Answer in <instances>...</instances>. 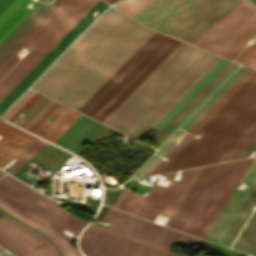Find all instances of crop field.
Here are the masks:
<instances>
[{"label":"crop field","instance_id":"crop-field-1","mask_svg":"<svg viewBox=\"0 0 256 256\" xmlns=\"http://www.w3.org/2000/svg\"><path fill=\"white\" fill-rule=\"evenodd\" d=\"M152 32L112 7L32 88L77 110Z\"/></svg>","mask_w":256,"mask_h":256},{"label":"crop field","instance_id":"crop-field-2","mask_svg":"<svg viewBox=\"0 0 256 256\" xmlns=\"http://www.w3.org/2000/svg\"><path fill=\"white\" fill-rule=\"evenodd\" d=\"M256 121V71L248 68L148 175L217 162Z\"/></svg>","mask_w":256,"mask_h":256},{"label":"crop field","instance_id":"crop-field-3","mask_svg":"<svg viewBox=\"0 0 256 256\" xmlns=\"http://www.w3.org/2000/svg\"><path fill=\"white\" fill-rule=\"evenodd\" d=\"M217 58L182 42L103 123L138 139Z\"/></svg>","mask_w":256,"mask_h":256},{"label":"crop field","instance_id":"crop-field-4","mask_svg":"<svg viewBox=\"0 0 256 256\" xmlns=\"http://www.w3.org/2000/svg\"><path fill=\"white\" fill-rule=\"evenodd\" d=\"M254 158L225 163L183 232L204 238Z\"/></svg>","mask_w":256,"mask_h":256},{"label":"crop field","instance_id":"crop-field-5","mask_svg":"<svg viewBox=\"0 0 256 256\" xmlns=\"http://www.w3.org/2000/svg\"><path fill=\"white\" fill-rule=\"evenodd\" d=\"M96 1L97 0H80L59 21V23L0 81V100Z\"/></svg>","mask_w":256,"mask_h":256},{"label":"crop field","instance_id":"crop-field-6","mask_svg":"<svg viewBox=\"0 0 256 256\" xmlns=\"http://www.w3.org/2000/svg\"><path fill=\"white\" fill-rule=\"evenodd\" d=\"M88 256H162L164 250L148 246L90 224L80 238Z\"/></svg>","mask_w":256,"mask_h":256},{"label":"crop field","instance_id":"crop-field-7","mask_svg":"<svg viewBox=\"0 0 256 256\" xmlns=\"http://www.w3.org/2000/svg\"><path fill=\"white\" fill-rule=\"evenodd\" d=\"M255 22L256 8L243 1L192 44L217 54Z\"/></svg>","mask_w":256,"mask_h":256},{"label":"crop field","instance_id":"crop-field-8","mask_svg":"<svg viewBox=\"0 0 256 256\" xmlns=\"http://www.w3.org/2000/svg\"><path fill=\"white\" fill-rule=\"evenodd\" d=\"M4 174L0 170V177ZM0 188L71 231L76 236L87 222L57 207L53 201L8 174L0 179Z\"/></svg>","mask_w":256,"mask_h":256},{"label":"crop field","instance_id":"crop-field-9","mask_svg":"<svg viewBox=\"0 0 256 256\" xmlns=\"http://www.w3.org/2000/svg\"><path fill=\"white\" fill-rule=\"evenodd\" d=\"M166 38L154 31L78 111L90 116Z\"/></svg>","mask_w":256,"mask_h":256},{"label":"crop field","instance_id":"crop-field-10","mask_svg":"<svg viewBox=\"0 0 256 256\" xmlns=\"http://www.w3.org/2000/svg\"><path fill=\"white\" fill-rule=\"evenodd\" d=\"M243 0H207L166 34L191 43Z\"/></svg>","mask_w":256,"mask_h":256},{"label":"crop field","instance_id":"crop-field-11","mask_svg":"<svg viewBox=\"0 0 256 256\" xmlns=\"http://www.w3.org/2000/svg\"><path fill=\"white\" fill-rule=\"evenodd\" d=\"M106 7V3L102 0H98L94 4V6L46 53V55L0 101V114L27 89L30 84L43 72V70L73 41V39L92 22V12L96 10L100 13Z\"/></svg>","mask_w":256,"mask_h":256},{"label":"crop field","instance_id":"crop-field-12","mask_svg":"<svg viewBox=\"0 0 256 256\" xmlns=\"http://www.w3.org/2000/svg\"><path fill=\"white\" fill-rule=\"evenodd\" d=\"M36 234L4 214L0 217V244L5 248L17 256H58L53 247Z\"/></svg>","mask_w":256,"mask_h":256},{"label":"crop field","instance_id":"crop-field-13","mask_svg":"<svg viewBox=\"0 0 256 256\" xmlns=\"http://www.w3.org/2000/svg\"><path fill=\"white\" fill-rule=\"evenodd\" d=\"M180 43L169 37L91 117L102 122Z\"/></svg>","mask_w":256,"mask_h":256},{"label":"crop field","instance_id":"crop-field-14","mask_svg":"<svg viewBox=\"0 0 256 256\" xmlns=\"http://www.w3.org/2000/svg\"><path fill=\"white\" fill-rule=\"evenodd\" d=\"M205 0H153L133 18L165 33Z\"/></svg>","mask_w":256,"mask_h":256},{"label":"crop field","instance_id":"crop-field-15","mask_svg":"<svg viewBox=\"0 0 256 256\" xmlns=\"http://www.w3.org/2000/svg\"><path fill=\"white\" fill-rule=\"evenodd\" d=\"M256 202V184L243 202L242 206L234 216L233 220L225 230L224 234L218 241V244L229 247L232 240L240 230L241 226L252 211V205ZM232 249L242 251L253 255L256 250V209L239 237L235 241Z\"/></svg>","mask_w":256,"mask_h":256},{"label":"crop field","instance_id":"crop-field-16","mask_svg":"<svg viewBox=\"0 0 256 256\" xmlns=\"http://www.w3.org/2000/svg\"><path fill=\"white\" fill-rule=\"evenodd\" d=\"M102 221L111 222L108 229L128 237L155 244L164 226L110 208Z\"/></svg>","mask_w":256,"mask_h":256},{"label":"crop field","instance_id":"crop-field-17","mask_svg":"<svg viewBox=\"0 0 256 256\" xmlns=\"http://www.w3.org/2000/svg\"><path fill=\"white\" fill-rule=\"evenodd\" d=\"M223 164L204 167L181 205L168 223V226L182 231L199 202L207 192Z\"/></svg>","mask_w":256,"mask_h":256},{"label":"crop field","instance_id":"crop-field-18","mask_svg":"<svg viewBox=\"0 0 256 256\" xmlns=\"http://www.w3.org/2000/svg\"><path fill=\"white\" fill-rule=\"evenodd\" d=\"M79 0H62L51 13L0 63V78L19 60L13 54L22 46L30 50Z\"/></svg>","mask_w":256,"mask_h":256},{"label":"crop field","instance_id":"crop-field-19","mask_svg":"<svg viewBox=\"0 0 256 256\" xmlns=\"http://www.w3.org/2000/svg\"><path fill=\"white\" fill-rule=\"evenodd\" d=\"M244 182L248 185L247 188L241 192L236 190L234 191L229 201L205 236V239L217 243L221 237L222 233L256 182V160L246 174Z\"/></svg>","mask_w":256,"mask_h":256},{"label":"crop field","instance_id":"crop-field-20","mask_svg":"<svg viewBox=\"0 0 256 256\" xmlns=\"http://www.w3.org/2000/svg\"><path fill=\"white\" fill-rule=\"evenodd\" d=\"M0 166L4 167L35 137L0 120Z\"/></svg>","mask_w":256,"mask_h":256},{"label":"crop field","instance_id":"crop-field-21","mask_svg":"<svg viewBox=\"0 0 256 256\" xmlns=\"http://www.w3.org/2000/svg\"><path fill=\"white\" fill-rule=\"evenodd\" d=\"M80 115L60 104L33 132L54 142Z\"/></svg>","mask_w":256,"mask_h":256},{"label":"crop field","instance_id":"crop-field-22","mask_svg":"<svg viewBox=\"0 0 256 256\" xmlns=\"http://www.w3.org/2000/svg\"><path fill=\"white\" fill-rule=\"evenodd\" d=\"M102 126L103 124L84 116L57 144L76 153Z\"/></svg>","mask_w":256,"mask_h":256},{"label":"crop field","instance_id":"crop-field-23","mask_svg":"<svg viewBox=\"0 0 256 256\" xmlns=\"http://www.w3.org/2000/svg\"><path fill=\"white\" fill-rule=\"evenodd\" d=\"M187 171L188 170H184L181 172L182 176L179 181L172 180L175 173L171 172L165 174L166 179L171 180L170 183L167 187L158 185L149 202L141 212L140 217L154 221L157 214H161L163 211Z\"/></svg>","mask_w":256,"mask_h":256},{"label":"crop field","instance_id":"crop-field-24","mask_svg":"<svg viewBox=\"0 0 256 256\" xmlns=\"http://www.w3.org/2000/svg\"><path fill=\"white\" fill-rule=\"evenodd\" d=\"M252 37L256 38V23L218 53V55L233 60L238 52L245 46L246 42ZM254 58H256V41L250 46H247L235 61L247 65Z\"/></svg>","mask_w":256,"mask_h":256},{"label":"crop field","instance_id":"crop-field-25","mask_svg":"<svg viewBox=\"0 0 256 256\" xmlns=\"http://www.w3.org/2000/svg\"><path fill=\"white\" fill-rule=\"evenodd\" d=\"M40 3L20 25L0 44V59L36 24V22L57 2Z\"/></svg>","mask_w":256,"mask_h":256},{"label":"crop field","instance_id":"crop-field-26","mask_svg":"<svg viewBox=\"0 0 256 256\" xmlns=\"http://www.w3.org/2000/svg\"><path fill=\"white\" fill-rule=\"evenodd\" d=\"M21 0H14L0 15V21L20 2ZM30 0H22L1 22L0 31L8 24V22L29 2ZM31 2V1H30ZM29 2V3H30ZM40 2L35 1L36 7ZM34 7V8H35ZM33 8V9H34ZM32 9V10H33ZM24 7L15 18L0 32V43L19 25V23L32 11Z\"/></svg>","mask_w":256,"mask_h":256},{"label":"crop field","instance_id":"crop-field-27","mask_svg":"<svg viewBox=\"0 0 256 256\" xmlns=\"http://www.w3.org/2000/svg\"><path fill=\"white\" fill-rule=\"evenodd\" d=\"M0 199L5 201L6 203L10 204L14 208L18 209L22 213L26 214L30 218L34 219L38 223L42 224L46 228L50 229L54 233L58 234L62 238L66 239L67 241L71 242L75 238L74 236H72L71 238L68 237L66 234H64L62 232L65 229H63L59 225L55 224L54 222H52L45 216L41 215L37 211L33 210L29 206L25 205L24 203L17 200L16 198H14L13 196L9 195L8 193H6L5 191H3L1 189H0Z\"/></svg>","mask_w":256,"mask_h":256},{"label":"crop field","instance_id":"crop-field-28","mask_svg":"<svg viewBox=\"0 0 256 256\" xmlns=\"http://www.w3.org/2000/svg\"><path fill=\"white\" fill-rule=\"evenodd\" d=\"M247 67L240 66L236 72L225 81L183 124L181 127L189 131L195 123L210 109V107L225 93V91L240 77Z\"/></svg>","mask_w":256,"mask_h":256},{"label":"crop field","instance_id":"crop-field-29","mask_svg":"<svg viewBox=\"0 0 256 256\" xmlns=\"http://www.w3.org/2000/svg\"><path fill=\"white\" fill-rule=\"evenodd\" d=\"M0 207L3 208L4 210L8 211L9 213L13 214L17 218L21 219L25 223L29 224L33 228L37 229L38 231L42 232L47 237H49L53 241V243L58 247L62 256H80V253L78 251H76L67 241H65L64 239L55 235L54 233L47 230L46 228L42 227L38 223L34 222L30 218L26 217L25 215H23L22 213L15 210L14 208L7 205L6 203H4L1 200H0Z\"/></svg>","mask_w":256,"mask_h":256},{"label":"crop field","instance_id":"crop-field-30","mask_svg":"<svg viewBox=\"0 0 256 256\" xmlns=\"http://www.w3.org/2000/svg\"><path fill=\"white\" fill-rule=\"evenodd\" d=\"M156 187L157 185L153 184L145 198L123 189L113 207L139 216Z\"/></svg>","mask_w":256,"mask_h":256},{"label":"crop field","instance_id":"crop-field-31","mask_svg":"<svg viewBox=\"0 0 256 256\" xmlns=\"http://www.w3.org/2000/svg\"><path fill=\"white\" fill-rule=\"evenodd\" d=\"M202 169L203 167L189 169L181 184L177 188L176 192L174 193L169 203L165 207L164 211L162 212V215L170 217L169 220L171 219L172 215L180 205L181 201L189 191L190 187L192 186Z\"/></svg>","mask_w":256,"mask_h":256},{"label":"crop field","instance_id":"crop-field-32","mask_svg":"<svg viewBox=\"0 0 256 256\" xmlns=\"http://www.w3.org/2000/svg\"><path fill=\"white\" fill-rule=\"evenodd\" d=\"M227 61L222 58L190 91L189 93L155 126L161 129L176 112L211 78V76Z\"/></svg>","mask_w":256,"mask_h":256},{"label":"crop field","instance_id":"crop-field-33","mask_svg":"<svg viewBox=\"0 0 256 256\" xmlns=\"http://www.w3.org/2000/svg\"><path fill=\"white\" fill-rule=\"evenodd\" d=\"M256 138V122L245 132V134L226 152L218 161L236 159L243 150Z\"/></svg>","mask_w":256,"mask_h":256},{"label":"crop field","instance_id":"crop-field-34","mask_svg":"<svg viewBox=\"0 0 256 256\" xmlns=\"http://www.w3.org/2000/svg\"><path fill=\"white\" fill-rule=\"evenodd\" d=\"M234 64L230 61L212 81L175 117V119L156 137L157 141L196 103V101Z\"/></svg>","mask_w":256,"mask_h":256},{"label":"crop field","instance_id":"crop-field-35","mask_svg":"<svg viewBox=\"0 0 256 256\" xmlns=\"http://www.w3.org/2000/svg\"><path fill=\"white\" fill-rule=\"evenodd\" d=\"M47 142L36 138L31 144H29L21 153H19L15 158L18 160L8 169L12 174L22 166L32 155H34L38 150H40ZM33 157V156H32Z\"/></svg>","mask_w":256,"mask_h":256},{"label":"crop field","instance_id":"crop-field-36","mask_svg":"<svg viewBox=\"0 0 256 256\" xmlns=\"http://www.w3.org/2000/svg\"><path fill=\"white\" fill-rule=\"evenodd\" d=\"M238 66L234 64L218 81L217 83L178 121V123L158 142L160 146L173 132L174 130L207 98V96Z\"/></svg>","mask_w":256,"mask_h":256},{"label":"crop field","instance_id":"crop-field-37","mask_svg":"<svg viewBox=\"0 0 256 256\" xmlns=\"http://www.w3.org/2000/svg\"><path fill=\"white\" fill-rule=\"evenodd\" d=\"M151 1L152 0H124L115 6L124 13L133 16Z\"/></svg>","mask_w":256,"mask_h":256},{"label":"crop field","instance_id":"crop-field-38","mask_svg":"<svg viewBox=\"0 0 256 256\" xmlns=\"http://www.w3.org/2000/svg\"><path fill=\"white\" fill-rule=\"evenodd\" d=\"M179 234L180 232L165 227L163 233L161 234L160 238L156 243V246L169 249L175 242Z\"/></svg>","mask_w":256,"mask_h":256},{"label":"crop field","instance_id":"crop-field-39","mask_svg":"<svg viewBox=\"0 0 256 256\" xmlns=\"http://www.w3.org/2000/svg\"><path fill=\"white\" fill-rule=\"evenodd\" d=\"M36 92L29 90L22 98H20L3 116V118L10 119Z\"/></svg>","mask_w":256,"mask_h":256},{"label":"crop field","instance_id":"crop-field-40","mask_svg":"<svg viewBox=\"0 0 256 256\" xmlns=\"http://www.w3.org/2000/svg\"><path fill=\"white\" fill-rule=\"evenodd\" d=\"M181 130H177L155 153H159L164 157L174 147L172 144L183 134Z\"/></svg>","mask_w":256,"mask_h":256},{"label":"crop field","instance_id":"crop-field-41","mask_svg":"<svg viewBox=\"0 0 256 256\" xmlns=\"http://www.w3.org/2000/svg\"><path fill=\"white\" fill-rule=\"evenodd\" d=\"M219 57L153 124L154 127L186 94L187 92L220 60Z\"/></svg>","mask_w":256,"mask_h":256},{"label":"crop field","instance_id":"crop-field-42","mask_svg":"<svg viewBox=\"0 0 256 256\" xmlns=\"http://www.w3.org/2000/svg\"><path fill=\"white\" fill-rule=\"evenodd\" d=\"M160 161L159 157L153 155L134 176L141 177L147 175Z\"/></svg>","mask_w":256,"mask_h":256},{"label":"crop field","instance_id":"crop-field-43","mask_svg":"<svg viewBox=\"0 0 256 256\" xmlns=\"http://www.w3.org/2000/svg\"><path fill=\"white\" fill-rule=\"evenodd\" d=\"M197 241L198 238L181 233L175 244L190 246L192 244L195 245Z\"/></svg>","mask_w":256,"mask_h":256},{"label":"crop field","instance_id":"crop-field-44","mask_svg":"<svg viewBox=\"0 0 256 256\" xmlns=\"http://www.w3.org/2000/svg\"><path fill=\"white\" fill-rule=\"evenodd\" d=\"M41 97L36 93L9 121L12 122L24 109L28 111Z\"/></svg>","mask_w":256,"mask_h":256},{"label":"crop field","instance_id":"crop-field-45","mask_svg":"<svg viewBox=\"0 0 256 256\" xmlns=\"http://www.w3.org/2000/svg\"><path fill=\"white\" fill-rule=\"evenodd\" d=\"M53 103L50 100L23 128L27 130Z\"/></svg>","mask_w":256,"mask_h":256},{"label":"crop field","instance_id":"crop-field-46","mask_svg":"<svg viewBox=\"0 0 256 256\" xmlns=\"http://www.w3.org/2000/svg\"><path fill=\"white\" fill-rule=\"evenodd\" d=\"M58 105L55 102L28 130L33 131Z\"/></svg>","mask_w":256,"mask_h":256},{"label":"crop field","instance_id":"crop-field-47","mask_svg":"<svg viewBox=\"0 0 256 256\" xmlns=\"http://www.w3.org/2000/svg\"><path fill=\"white\" fill-rule=\"evenodd\" d=\"M60 1H61V0H59V1L49 10V12L47 11L48 13L46 12L47 14L45 13L46 15L44 14L45 16L43 15L44 17L42 16L43 18L41 17L42 19L40 18L41 20L39 19L40 21L38 20V21H39V22L37 21L38 23L36 22L37 24H36V25H35V26H34V27H33V28H32V29H31V30H30V31L14 46L1 60H0V62H1L15 47L28 35V34H29V33H30V32H31V31H32L49 13H50V11H51Z\"/></svg>","mask_w":256,"mask_h":256},{"label":"crop field","instance_id":"crop-field-48","mask_svg":"<svg viewBox=\"0 0 256 256\" xmlns=\"http://www.w3.org/2000/svg\"><path fill=\"white\" fill-rule=\"evenodd\" d=\"M254 148H256V139L245 149V151L237 159L248 157Z\"/></svg>","mask_w":256,"mask_h":256},{"label":"crop field","instance_id":"crop-field-49","mask_svg":"<svg viewBox=\"0 0 256 256\" xmlns=\"http://www.w3.org/2000/svg\"><path fill=\"white\" fill-rule=\"evenodd\" d=\"M13 0H0V14Z\"/></svg>","mask_w":256,"mask_h":256},{"label":"crop field","instance_id":"crop-field-50","mask_svg":"<svg viewBox=\"0 0 256 256\" xmlns=\"http://www.w3.org/2000/svg\"><path fill=\"white\" fill-rule=\"evenodd\" d=\"M27 122H28V120H25V119L21 118V119L16 123V125H19V126L23 127Z\"/></svg>","mask_w":256,"mask_h":256},{"label":"crop field","instance_id":"crop-field-51","mask_svg":"<svg viewBox=\"0 0 256 256\" xmlns=\"http://www.w3.org/2000/svg\"><path fill=\"white\" fill-rule=\"evenodd\" d=\"M163 256H181V255H177V254H174V253H170V252L165 251V253L163 254Z\"/></svg>","mask_w":256,"mask_h":256},{"label":"crop field","instance_id":"crop-field-52","mask_svg":"<svg viewBox=\"0 0 256 256\" xmlns=\"http://www.w3.org/2000/svg\"><path fill=\"white\" fill-rule=\"evenodd\" d=\"M248 66L253 67L256 69V59H254Z\"/></svg>","mask_w":256,"mask_h":256},{"label":"crop field","instance_id":"crop-field-53","mask_svg":"<svg viewBox=\"0 0 256 256\" xmlns=\"http://www.w3.org/2000/svg\"><path fill=\"white\" fill-rule=\"evenodd\" d=\"M105 1L108 2V3H111V2H113L115 0H105Z\"/></svg>","mask_w":256,"mask_h":256},{"label":"crop field","instance_id":"crop-field-54","mask_svg":"<svg viewBox=\"0 0 256 256\" xmlns=\"http://www.w3.org/2000/svg\"><path fill=\"white\" fill-rule=\"evenodd\" d=\"M4 251V249L2 247H0V254Z\"/></svg>","mask_w":256,"mask_h":256},{"label":"crop field","instance_id":"crop-field-55","mask_svg":"<svg viewBox=\"0 0 256 256\" xmlns=\"http://www.w3.org/2000/svg\"><path fill=\"white\" fill-rule=\"evenodd\" d=\"M7 252L3 253L1 256L5 255Z\"/></svg>","mask_w":256,"mask_h":256},{"label":"crop field","instance_id":"crop-field-56","mask_svg":"<svg viewBox=\"0 0 256 256\" xmlns=\"http://www.w3.org/2000/svg\"><path fill=\"white\" fill-rule=\"evenodd\" d=\"M251 1H253V2H255V3H256V0H251Z\"/></svg>","mask_w":256,"mask_h":256},{"label":"crop field","instance_id":"crop-field-57","mask_svg":"<svg viewBox=\"0 0 256 256\" xmlns=\"http://www.w3.org/2000/svg\"><path fill=\"white\" fill-rule=\"evenodd\" d=\"M254 256H256V252L254 253Z\"/></svg>","mask_w":256,"mask_h":256},{"label":"crop field","instance_id":"crop-field-58","mask_svg":"<svg viewBox=\"0 0 256 256\" xmlns=\"http://www.w3.org/2000/svg\"><path fill=\"white\" fill-rule=\"evenodd\" d=\"M7 256H12V255L8 254Z\"/></svg>","mask_w":256,"mask_h":256},{"label":"crop field","instance_id":"crop-field-59","mask_svg":"<svg viewBox=\"0 0 256 256\" xmlns=\"http://www.w3.org/2000/svg\"><path fill=\"white\" fill-rule=\"evenodd\" d=\"M3 213L0 212V216L2 215Z\"/></svg>","mask_w":256,"mask_h":256},{"label":"crop field","instance_id":"crop-field-60","mask_svg":"<svg viewBox=\"0 0 256 256\" xmlns=\"http://www.w3.org/2000/svg\"><path fill=\"white\" fill-rule=\"evenodd\" d=\"M255 155H256V154H255ZM255 155H254V156H255Z\"/></svg>","mask_w":256,"mask_h":256}]
</instances>
